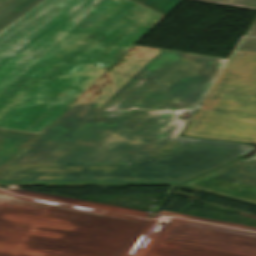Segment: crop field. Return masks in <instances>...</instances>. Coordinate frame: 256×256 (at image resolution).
Here are the masks:
<instances>
[{"label": "crop field", "instance_id": "10", "mask_svg": "<svg viewBox=\"0 0 256 256\" xmlns=\"http://www.w3.org/2000/svg\"><path fill=\"white\" fill-rule=\"evenodd\" d=\"M246 35H254V36H256V19L252 23V25L249 28V30L247 31Z\"/></svg>", "mask_w": 256, "mask_h": 256}, {"label": "crop field", "instance_id": "7", "mask_svg": "<svg viewBox=\"0 0 256 256\" xmlns=\"http://www.w3.org/2000/svg\"><path fill=\"white\" fill-rule=\"evenodd\" d=\"M167 16L183 0H133Z\"/></svg>", "mask_w": 256, "mask_h": 256}, {"label": "crop field", "instance_id": "6", "mask_svg": "<svg viewBox=\"0 0 256 256\" xmlns=\"http://www.w3.org/2000/svg\"><path fill=\"white\" fill-rule=\"evenodd\" d=\"M42 0H0V31Z\"/></svg>", "mask_w": 256, "mask_h": 256}, {"label": "crop field", "instance_id": "4", "mask_svg": "<svg viewBox=\"0 0 256 256\" xmlns=\"http://www.w3.org/2000/svg\"><path fill=\"white\" fill-rule=\"evenodd\" d=\"M183 185L256 204V156L235 161Z\"/></svg>", "mask_w": 256, "mask_h": 256}, {"label": "crop field", "instance_id": "2", "mask_svg": "<svg viewBox=\"0 0 256 256\" xmlns=\"http://www.w3.org/2000/svg\"><path fill=\"white\" fill-rule=\"evenodd\" d=\"M165 16L131 0H44L0 32V128L40 134Z\"/></svg>", "mask_w": 256, "mask_h": 256}, {"label": "crop field", "instance_id": "3", "mask_svg": "<svg viewBox=\"0 0 256 256\" xmlns=\"http://www.w3.org/2000/svg\"><path fill=\"white\" fill-rule=\"evenodd\" d=\"M183 135L256 143V53L234 52Z\"/></svg>", "mask_w": 256, "mask_h": 256}, {"label": "crop field", "instance_id": "8", "mask_svg": "<svg viewBox=\"0 0 256 256\" xmlns=\"http://www.w3.org/2000/svg\"><path fill=\"white\" fill-rule=\"evenodd\" d=\"M193 1L256 10V0H193Z\"/></svg>", "mask_w": 256, "mask_h": 256}, {"label": "crop field", "instance_id": "9", "mask_svg": "<svg viewBox=\"0 0 256 256\" xmlns=\"http://www.w3.org/2000/svg\"><path fill=\"white\" fill-rule=\"evenodd\" d=\"M237 49L256 52V38H243Z\"/></svg>", "mask_w": 256, "mask_h": 256}, {"label": "crop field", "instance_id": "5", "mask_svg": "<svg viewBox=\"0 0 256 256\" xmlns=\"http://www.w3.org/2000/svg\"><path fill=\"white\" fill-rule=\"evenodd\" d=\"M37 135L0 129V170L16 157Z\"/></svg>", "mask_w": 256, "mask_h": 256}, {"label": "crop field", "instance_id": "1", "mask_svg": "<svg viewBox=\"0 0 256 256\" xmlns=\"http://www.w3.org/2000/svg\"><path fill=\"white\" fill-rule=\"evenodd\" d=\"M225 59L135 45L1 172L0 183L177 184L253 147L178 137ZM142 109V112H130Z\"/></svg>", "mask_w": 256, "mask_h": 256}]
</instances>
